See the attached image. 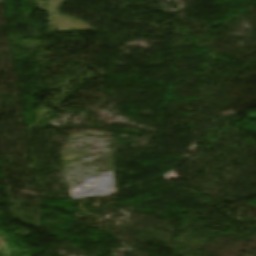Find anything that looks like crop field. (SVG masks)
I'll return each mask as SVG.
<instances>
[{
  "instance_id": "8a807250",
  "label": "crop field",
  "mask_w": 256,
  "mask_h": 256,
  "mask_svg": "<svg viewBox=\"0 0 256 256\" xmlns=\"http://www.w3.org/2000/svg\"><path fill=\"white\" fill-rule=\"evenodd\" d=\"M251 118L256 119V114H252V115H251Z\"/></svg>"
}]
</instances>
